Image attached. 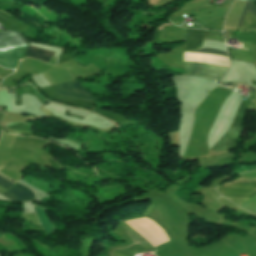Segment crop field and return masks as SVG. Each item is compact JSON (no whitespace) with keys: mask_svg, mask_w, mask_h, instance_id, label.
<instances>
[{"mask_svg":"<svg viewBox=\"0 0 256 256\" xmlns=\"http://www.w3.org/2000/svg\"><path fill=\"white\" fill-rule=\"evenodd\" d=\"M242 207L256 214V195L245 202Z\"/></svg>","mask_w":256,"mask_h":256,"instance_id":"28ad6ade","label":"crop field"},{"mask_svg":"<svg viewBox=\"0 0 256 256\" xmlns=\"http://www.w3.org/2000/svg\"><path fill=\"white\" fill-rule=\"evenodd\" d=\"M26 55L34 56L40 60L49 62L50 59L53 57L54 53L46 51L44 49L29 46L26 51Z\"/></svg>","mask_w":256,"mask_h":256,"instance_id":"5a996713","label":"crop field"},{"mask_svg":"<svg viewBox=\"0 0 256 256\" xmlns=\"http://www.w3.org/2000/svg\"><path fill=\"white\" fill-rule=\"evenodd\" d=\"M248 1H256V0H248Z\"/></svg>","mask_w":256,"mask_h":256,"instance_id":"cbeb9de0","label":"crop field"},{"mask_svg":"<svg viewBox=\"0 0 256 256\" xmlns=\"http://www.w3.org/2000/svg\"><path fill=\"white\" fill-rule=\"evenodd\" d=\"M57 95L70 98H79L84 100H96L92 98L87 90H85L77 80L54 86Z\"/></svg>","mask_w":256,"mask_h":256,"instance_id":"ac0d7876","label":"crop field"},{"mask_svg":"<svg viewBox=\"0 0 256 256\" xmlns=\"http://www.w3.org/2000/svg\"><path fill=\"white\" fill-rule=\"evenodd\" d=\"M151 249H152L151 247H146V246H141V245L135 244L134 246H131L129 248L114 251L113 255L114 256H134L135 254L147 252Z\"/></svg>","mask_w":256,"mask_h":256,"instance_id":"dd49c442","label":"crop field"},{"mask_svg":"<svg viewBox=\"0 0 256 256\" xmlns=\"http://www.w3.org/2000/svg\"><path fill=\"white\" fill-rule=\"evenodd\" d=\"M189 52L190 53H209L213 55L228 57L227 53L210 49V48H203L198 51H189ZM184 66L186 68V71H201V72L209 73L213 76L220 77V78H222V76L226 72V69H222L214 66H205V65L193 64V63H184Z\"/></svg>","mask_w":256,"mask_h":256,"instance_id":"34b2d1b8","label":"crop field"},{"mask_svg":"<svg viewBox=\"0 0 256 256\" xmlns=\"http://www.w3.org/2000/svg\"><path fill=\"white\" fill-rule=\"evenodd\" d=\"M34 210L46 234L53 232L55 229L53 228V226L51 225L50 221L48 220L45 214L47 208L35 206Z\"/></svg>","mask_w":256,"mask_h":256,"instance_id":"d8731c3e","label":"crop field"},{"mask_svg":"<svg viewBox=\"0 0 256 256\" xmlns=\"http://www.w3.org/2000/svg\"><path fill=\"white\" fill-rule=\"evenodd\" d=\"M14 201H24L32 200L34 198L33 191L19 185L15 184L12 188L1 194Z\"/></svg>","mask_w":256,"mask_h":256,"instance_id":"f4fd0767","label":"crop field"},{"mask_svg":"<svg viewBox=\"0 0 256 256\" xmlns=\"http://www.w3.org/2000/svg\"><path fill=\"white\" fill-rule=\"evenodd\" d=\"M230 54L233 60L247 61L251 63H254L256 60V55L249 50L230 49Z\"/></svg>","mask_w":256,"mask_h":256,"instance_id":"e52e79f7","label":"crop field"},{"mask_svg":"<svg viewBox=\"0 0 256 256\" xmlns=\"http://www.w3.org/2000/svg\"><path fill=\"white\" fill-rule=\"evenodd\" d=\"M27 44L28 42L19 31H7L0 33V49L13 48Z\"/></svg>","mask_w":256,"mask_h":256,"instance_id":"412701ff","label":"crop field"},{"mask_svg":"<svg viewBox=\"0 0 256 256\" xmlns=\"http://www.w3.org/2000/svg\"><path fill=\"white\" fill-rule=\"evenodd\" d=\"M218 192L224 196L250 197L256 192V182L247 180H236L226 183L218 188Z\"/></svg>","mask_w":256,"mask_h":256,"instance_id":"8a807250","label":"crop field"},{"mask_svg":"<svg viewBox=\"0 0 256 256\" xmlns=\"http://www.w3.org/2000/svg\"><path fill=\"white\" fill-rule=\"evenodd\" d=\"M204 39L224 42L222 32L206 31Z\"/></svg>","mask_w":256,"mask_h":256,"instance_id":"3316defc","label":"crop field"},{"mask_svg":"<svg viewBox=\"0 0 256 256\" xmlns=\"http://www.w3.org/2000/svg\"><path fill=\"white\" fill-rule=\"evenodd\" d=\"M251 12L253 15H255L256 16V7H254L252 4H250V3H247V6H246V10H245V13H244V16H243V19H242V23H241V26H242V24H243V20H244V17H245V15H246V13L247 12ZM248 14V13H247ZM247 16V15H246ZM240 26V27H241Z\"/></svg>","mask_w":256,"mask_h":256,"instance_id":"d1516ede","label":"crop field"},{"mask_svg":"<svg viewBox=\"0 0 256 256\" xmlns=\"http://www.w3.org/2000/svg\"><path fill=\"white\" fill-rule=\"evenodd\" d=\"M13 183L9 182L8 180L4 179L3 177L0 176V186L7 189L10 187Z\"/></svg>","mask_w":256,"mask_h":256,"instance_id":"22f410ed","label":"crop field"}]
</instances>
